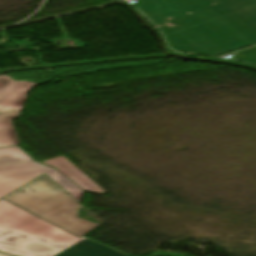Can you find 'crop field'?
Listing matches in <instances>:
<instances>
[{"instance_id":"obj_1","label":"crop field","mask_w":256,"mask_h":256,"mask_svg":"<svg viewBox=\"0 0 256 256\" xmlns=\"http://www.w3.org/2000/svg\"><path fill=\"white\" fill-rule=\"evenodd\" d=\"M137 1L177 50L220 55L256 43V0Z\"/></svg>"},{"instance_id":"obj_2","label":"crop field","mask_w":256,"mask_h":256,"mask_svg":"<svg viewBox=\"0 0 256 256\" xmlns=\"http://www.w3.org/2000/svg\"><path fill=\"white\" fill-rule=\"evenodd\" d=\"M0 251L15 256H128L79 239L4 200L0 201Z\"/></svg>"},{"instance_id":"obj_3","label":"crop field","mask_w":256,"mask_h":256,"mask_svg":"<svg viewBox=\"0 0 256 256\" xmlns=\"http://www.w3.org/2000/svg\"><path fill=\"white\" fill-rule=\"evenodd\" d=\"M45 163L55 167L84 190L91 193L103 192L64 157L49 159ZM44 173L80 202L84 193L81 188L55 169L35 162L17 146L0 149V199Z\"/></svg>"},{"instance_id":"obj_4","label":"crop field","mask_w":256,"mask_h":256,"mask_svg":"<svg viewBox=\"0 0 256 256\" xmlns=\"http://www.w3.org/2000/svg\"><path fill=\"white\" fill-rule=\"evenodd\" d=\"M4 199L79 237L98 226L76 217L83 206L44 175Z\"/></svg>"},{"instance_id":"obj_5","label":"crop field","mask_w":256,"mask_h":256,"mask_svg":"<svg viewBox=\"0 0 256 256\" xmlns=\"http://www.w3.org/2000/svg\"><path fill=\"white\" fill-rule=\"evenodd\" d=\"M36 84L0 76V148L20 144L11 120L20 116L26 94Z\"/></svg>"},{"instance_id":"obj_6","label":"crop field","mask_w":256,"mask_h":256,"mask_svg":"<svg viewBox=\"0 0 256 256\" xmlns=\"http://www.w3.org/2000/svg\"><path fill=\"white\" fill-rule=\"evenodd\" d=\"M233 59L256 64V47L232 54Z\"/></svg>"},{"instance_id":"obj_7","label":"crop field","mask_w":256,"mask_h":256,"mask_svg":"<svg viewBox=\"0 0 256 256\" xmlns=\"http://www.w3.org/2000/svg\"><path fill=\"white\" fill-rule=\"evenodd\" d=\"M0 256H6V255L0 254Z\"/></svg>"}]
</instances>
